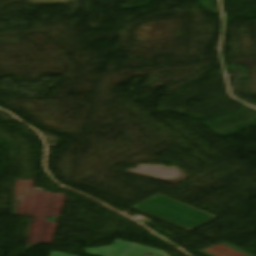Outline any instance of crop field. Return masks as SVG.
Instances as JSON below:
<instances>
[{
    "mask_svg": "<svg viewBox=\"0 0 256 256\" xmlns=\"http://www.w3.org/2000/svg\"><path fill=\"white\" fill-rule=\"evenodd\" d=\"M133 208L188 231L215 218L161 195H157Z\"/></svg>",
    "mask_w": 256,
    "mask_h": 256,
    "instance_id": "obj_1",
    "label": "crop field"
},
{
    "mask_svg": "<svg viewBox=\"0 0 256 256\" xmlns=\"http://www.w3.org/2000/svg\"><path fill=\"white\" fill-rule=\"evenodd\" d=\"M86 254L99 256H168L166 253L117 239L110 247L84 249Z\"/></svg>",
    "mask_w": 256,
    "mask_h": 256,
    "instance_id": "obj_2",
    "label": "crop field"
},
{
    "mask_svg": "<svg viewBox=\"0 0 256 256\" xmlns=\"http://www.w3.org/2000/svg\"><path fill=\"white\" fill-rule=\"evenodd\" d=\"M201 253L207 256H253L227 243L218 244L214 247L202 251Z\"/></svg>",
    "mask_w": 256,
    "mask_h": 256,
    "instance_id": "obj_3",
    "label": "crop field"
},
{
    "mask_svg": "<svg viewBox=\"0 0 256 256\" xmlns=\"http://www.w3.org/2000/svg\"><path fill=\"white\" fill-rule=\"evenodd\" d=\"M50 256H71V255H66V254H60V253L51 252V253H50Z\"/></svg>",
    "mask_w": 256,
    "mask_h": 256,
    "instance_id": "obj_4",
    "label": "crop field"
}]
</instances>
